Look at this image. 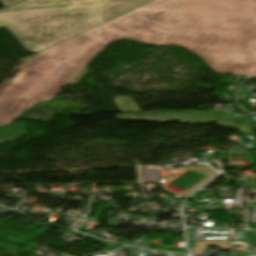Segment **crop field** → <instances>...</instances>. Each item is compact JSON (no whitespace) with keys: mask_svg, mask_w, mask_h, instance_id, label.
Instances as JSON below:
<instances>
[{"mask_svg":"<svg viewBox=\"0 0 256 256\" xmlns=\"http://www.w3.org/2000/svg\"><path fill=\"white\" fill-rule=\"evenodd\" d=\"M178 44L216 73L256 76V0H153L35 56L0 93V125L52 98L105 46Z\"/></svg>","mask_w":256,"mask_h":256,"instance_id":"1","label":"crop field"},{"mask_svg":"<svg viewBox=\"0 0 256 256\" xmlns=\"http://www.w3.org/2000/svg\"><path fill=\"white\" fill-rule=\"evenodd\" d=\"M96 4L0 12V26L30 52L61 42L94 25Z\"/></svg>","mask_w":256,"mask_h":256,"instance_id":"2","label":"crop field"},{"mask_svg":"<svg viewBox=\"0 0 256 256\" xmlns=\"http://www.w3.org/2000/svg\"><path fill=\"white\" fill-rule=\"evenodd\" d=\"M116 119L155 121L164 122L166 120L177 119L182 123H214L215 121H238L236 116L203 112L194 110H159L141 114H125L116 116Z\"/></svg>","mask_w":256,"mask_h":256,"instance_id":"3","label":"crop field"},{"mask_svg":"<svg viewBox=\"0 0 256 256\" xmlns=\"http://www.w3.org/2000/svg\"><path fill=\"white\" fill-rule=\"evenodd\" d=\"M147 1L149 0H106L98 4L96 18L101 23Z\"/></svg>","mask_w":256,"mask_h":256,"instance_id":"4","label":"crop field"},{"mask_svg":"<svg viewBox=\"0 0 256 256\" xmlns=\"http://www.w3.org/2000/svg\"><path fill=\"white\" fill-rule=\"evenodd\" d=\"M101 1L103 0H28L26 2L20 3L8 9L99 3Z\"/></svg>","mask_w":256,"mask_h":256,"instance_id":"5","label":"crop field"},{"mask_svg":"<svg viewBox=\"0 0 256 256\" xmlns=\"http://www.w3.org/2000/svg\"><path fill=\"white\" fill-rule=\"evenodd\" d=\"M26 134L24 123L0 126V145L11 143Z\"/></svg>","mask_w":256,"mask_h":256,"instance_id":"6","label":"crop field"},{"mask_svg":"<svg viewBox=\"0 0 256 256\" xmlns=\"http://www.w3.org/2000/svg\"><path fill=\"white\" fill-rule=\"evenodd\" d=\"M113 100L121 112H139L132 97L117 96Z\"/></svg>","mask_w":256,"mask_h":256,"instance_id":"7","label":"crop field"},{"mask_svg":"<svg viewBox=\"0 0 256 256\" xmlns=\"http://www.w3.org/2000/svg\"><path fill=\"white\" fill-rule=\"evenodd\" d=\"M196 247L191 248L192 254L199 255L202 249L206 246H219L222 249H229V241H215V242H194Z\"/></svg>","mask_w":256,"mask_h":256,"instance_id":"8","label":"crop field"},{"mask_svg":"<svg viewBox=\"0 0 256 256\" xmlns=\"http://www.w3.org/2000/svg\"><path fill=\"white\" fill-rule=\"evenodd\" d=\"M215 124L234 127L240 131L252 132L250 122H216Z\"/></svg>","mask_w":256,"mask_h":256,"instance_id":"9","label":"crop field"},{"mask_svg":"<svg viewBox=\"0 0 256 256\" xmlns=\"http://www.w3.org/2000/svg\"><path fill=\"white\" fill-rule=\"evenodd\" d=\"M90 71L83 69L76 77H74L68 84L76 85L82 78H84Z\"/></svg>","mask_w":256,"mask_h":256,"instance_id":"10","label":"crop field"},{"mask_svg":"<svg viewBox=\"0 0 256 256\" xmlns=\"http://www.w3.org/2000/svg\"><path fill=\"white\" fill-rule=\"evenodd\" d=\"M250 244H256V231H246Z\"/></svg>","mask_w":256,"mask_h":256,"instance_id":"11","label":"crop field"},{"mask_svg":"<svg viewBox=\"0 0 256 256\" xmlns=\"http://www.w3.org/2000/svg\"><path fill=\"white\" fill-rule=\"evenodd\" d=\"M20 0H0L1 4L5 7L7 5H10L12 3L18 2Z\"/></svg>","mask_w":256,"mask_h":256,"instance_id":"12","label":"crop field"},{"mask_svg":"<svg viewBox=\"0 0 256 256\" xmlns=\"http://www.w3.org/2000/svg\"><path fill=\"white\" fill-rule=\"evenodd\" d=\"M97 7V6H96ZM95 13H96V10H95ZM94 17H95V14H94ZM96 19V18H95Z\"/></svg>","mask_w":256,"mask_h":256,"instance_id":"13","label":"crop field"}]
</instances>
